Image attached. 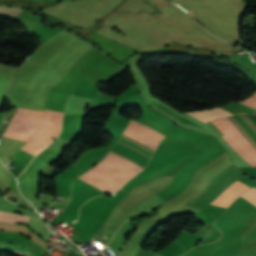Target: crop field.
Instances as JSON below:
<instances>
[{
	"instance_id": "crop-field-1",
	"label": "crop field",
	"mask_w": 256,
	"mask_h": 256,
	"mask_svg": "<svg viewBox=\"0 0 256 256\" xmlns=\"http://www.w3.org/2000/svg\"><path fill=\"white\" fill-rule=\"evenodd\" d=\"M123 133L155 149L160 141L166 137L147 126L132 120L129 122ZM100 162L116 169L117 171L131 178L143 169L110 151L108 152L106 157ZM78 179L92 185L93 187L107 194L117 191L125 183L124 181L110 175L109 173L97 167H93L88 172L81 175Z\"/></svg>"
},
{
	"instance_id": "crop-field-2",
	"label": "crop field",
	"mask_w": 256,
	"mask_h": 256,
	"mask_svg": "<svg viewBox=\"0 0 256 256\" xmlns=\"http://www.w3.org/2000/svg\"><path fill=\"white\" fill-rule=\"evenodd\" d=\"M43 113L18 108L3 136L25 142L29 141L41 126Z\"/></svg>"
},
{
	"instance_id": "crop-field-3",
	"label": "crop field",
	"mask_w": 256,
	"mask_h": 256,
	"mask_svg": "<svg viewBox=\"0 0 256 256\" xmlns=\"http://www.w3.org/2000/svg\"><path fill=\"white\" fill-rule=\"evenodd\" d=\"M224 135L221 137L247 162L256 166V149L227 118L211 121Z\"/></svg>"
},
{
	"instance_id": "crop-field-4",
	"label": "crop field",
	"mask_w": 256,
	"mask_h": 256,
	"mask_svg": "<svg viewBox=\"0 0 256 256\" xmlns=\"http://www.w3.org/2000/svg\"><path fill=\"white\" fill-rule=\"evenodd\" d=\"M63 112L45 110L44 121L37 134L20 149L36 155L59 133Z\"/></svg>"
},
{
	"instance_id": "crop-field-5",
	"label": "crop field",
	"mask_w": 256,
	"mask_h": 256,
	"mask_svg": "<svg viewBox=\"0 0 256 256\" xmlns=\"http://www.w3.org/2000/svg\"><path fill=\"white\" fill-rule=\"evenodd\" d=\"M250 187L246 186L245 184L235 181L231 185H229L218 198H216L213 202L210 204L217 205L223 208H226V206L229 204L231 200H235V198L244 192H246ZM232 203V201H231ZM230 203V204H231ZM229 204V205H230ZM228 205V206H229Z\"/></svg>"
},
{
	"instance_id": "crop-field-6",
	"label": "crop field",
	"mask_w": 256,
	"mask_h": 256,
	"mask_svg": "<svg viewBox=\"0 0 256 256\" xmlns=\"http://www.w3.org/2000/svg\"><path fill=\"white\" fill-rule=\"evenodd\" d=\"M90 101V99L71 96L65 104L64 114L85 113L84 110Z\"/></svg>"
},
{
	"instance_id": "crop-field-7",
	"label": "crop field",
	"mask_w": 256,
	"mask_h": 256,
	"mask_svg": "<svg viewBox=\"0 0 256 256\" xmlns=\"http://www.w3.org/2000/svg\"><path fill=\"white\" fill-rule=\"evenodd\" d=\"M189 114L203 122H207V121H210L213 119L232 115L220 108L212 109V110L190 112Z\"/></svg>"
},
{
	"instance_id": "crop-field-8",
	"label": "crop field",
	"mask_w": 256,
	"mask_h": 256,
	"mask_svg": "<svg viewBox=\"0 0 256 256\" xmlns=\"http://www.w3.org/2000/svg\"><path fill=\"white\" fill-rule=\"evenodd\" d=\"M28 217L26 216H18L9 213H0V221L2 222H9V223H22L25 224Z\"/></svg>"
},
{
	"instance_id": "crop-field-9",
	"label": "crop field",
	"mask_w": 256,
	"mask_h": 256,
	"mask_svg": "<svg viewBox=\"0 0 256 256\" xmlns=\"http://www.w3.org/2000/svg\"><path fill=\"white\" fill-rule=\"evenodd\" d=\"M254 188L248 190L246 193H244L240 197H242L243 199L247 200L248 202L256 206V189Z\"/></svg>"
},
{
	"instance_id": "crop-field-10",
	"label": "crop field",
	"mask_w": 256,
	"mask_h": 256,
	"mask_svg": "<svg viewBox=\"0 0 256 256\" xmlns=\"http://www.w3.org/2000/svg\"><path fill=\"white\" fill-rule=\"evenodd\" d=\"M248 106L256 108V92L248 99L240 101Z\"/></svg>"
}]
</instances>
